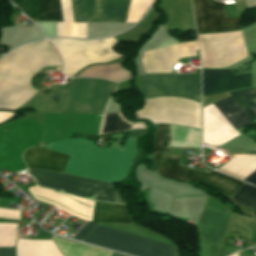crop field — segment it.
Masks as SVG:
<instances>
[{
	"mask_svg": "<svg viewBox=\"0 0 256 256\" xmlns=\"http://www.w3.org/2000/svg\"><path fill=\"white\" fill-rule=\"evenodd\" d=\"M62 56L64 70L67 76L72 77L78 70L90 63L107 62L120 58L122 55L112 51L117 43L115 39L101 40H50Z\"/></svg>",
	"mask_w": 256,
	"mask_h": 256,
	"instance_id": "412701ff",
	"label": "crop field"
},
{
	"mask_svg": "<svg viewBox=\"0 0 256 256\" xmlns=\"http://www.w3.org/2000/svg\"><path fill=\"white\" fill-rule=\"evenodd\" d=\"M84 242L135 256H174L171 245L97 225Z\"/></svg>",
	"mask_w": 256,
	"mask_h": 256,
	"instance_id": "dd49c442",
	"label": "crop field"
},
{
	"mask_svg": "<svg viewBox=\"0 0 256 256\" xmlns=\"http://www.w3.org/2000/svg\"><path fill=\"white\" fill-rule=\"evenodd\" d=\"M233 36L243 35L241 31L232 33Z\"/></svg>",
	"mask_w": 256,
	"mask_h": 256,
	"instance_id": "750c4746",
	"label": "crop field"
},
{
	"mask_svg": "<svg viewBox=\"0 0 256 256\" xmlns=\"http://www.w3.org/2000/svg\"><path fill=\"white\" fill-rule=\"evenodd\" d=\"M33 21H62L59 0H10Z\"/></svg>",
	"mask_w": 256,
	"mask_h": 256,
	"instance_id": "5142ce71",
	"label": "crop field"
},
{
	"mask_svg": "<svg viewBox=\"0 0 256 256\" xmlns=\"http://www.w3.org/2000/svg\"><path fill=\"white\" fill-rule=\"evenodd\" d=\"M40 64L60 65L46 41L20 47L0 60V109L14 110L38 92L30 83Z\"/></svg>",
	"mask_w": 256,
	"mask_h": 256,
	"instance_id": "ac0d7876",
	"label": "crop field"
},
{
	"mask_svg": "<svg viewBox=\"0 0 256 256\" xmlns=\"http://www.w3.org/2000/svg\"><path fill=\"white\" fill-rule=\"evenodd\" d=\"M130 0H72L75 22H125Z\"/></svg>",
	"mask_w": 256,
	"mask_h": 256,
	"instance_id": "3316defc",
	"label": "crop field"
},
{
	"mask_svg": "<svg viewBox=\"0 0 256 256\" xmlns=\"http://www.w3.org/2000/svg\"><path fill=\"white\" fill-rule=\"evenodd\" d=\"M230 213L204 206L196 226L203 240L222 246L225 239Z\"/></svg>",
	"mask_w": 256,
	"mask_h": 256,
	"instance_id": "22f410ed",
	"label": "crop field"
},
{
	"mask_svg": "<svg viewBox=\"0 0 256 256\" xmlns=\"http://www.w3.org/2000/svg\"><path fill=\"white\" fill-rule=\"evenodd\" d=\"M63 23H56L57 37L87 38V23H74L71 0H60Z\"/></svg>",
	"mask_w": 256,
	"mask_h": 256,
	"instance_id": "bc2a9ffb",
	"label": "crop field"
},
{
	"mask_svg": "<svg viewBox=\"0 0 256 256\" xmlns=\"http://www.w3.org/2000/svg\"><path fill=\"white\" fill-rule=\"evenodd\" d=\"M218 170L256 185V155L233 156Z\"/></svg>",
	"mask_w": 256,
	"mask_h": 256,
	"instance_id": "733c2abd",
	"label": "crop field"
},
{
	"mask_svg": "<svg viewBox=\"0 0 256 256\" xmlns=\"http://www.w3.org/2000/svg\"><path fill=\"white\" fill-rule=\"evenodd\" d=\"M249 242H256V231L254 232V234L250 238Z\"/></svg>",
	"mask_w": 256,
	"mask_h": 256,
	"instance_id": "d3111659",
	"label": "crop field"
},
{
	"mask_svg": "<svg viewBox=\"0 0 256 256\" xmlns=\"http://www.w3.org/2000/svg\"><path fill=\"white\" fill-rule=\"evenodd\" d=\"M68 157V155L39 148H29L23 154V160L28 169L36 168L61 173L64 170Z\"/></svg>",
	"mask_w": 256,
	"mask_h": 256,
	"instance_id": "d9b57169",
	"label": "crop field"
},
{
	"mask_svg": "<svg viewBox=\"0 0 256 256\" xmlns=\"http://www.w3.org/2000/svg\"><path fill=\"white\" fill-rule=\"evenodd\" d=\"M37 185L99 201L122 203L114 185L53 172L28 170Z\"/></svg>",
	"mask_w": 256,
	"mask_h": 256,
	"instance_id": "f4fd0767",
	"label": "crop field"
},
{
	"mask_svg": "<svg viewBox=\"0 0 256 256\" xmlns=\"http://www.w3.org/2000/svg\"><path fill=\"white\" fill-rule=\"evenodd\" d=\"M238 255V253L237 254H234V255H232V256H237Z\"/></svg>",
	"mask_w": 256,
	"mask_h": 256,
	"instance_id": "1d83c4d3",
	"label": "crop field"
},
{
	"mask_svg": "<svg viewBox=\"0 0 256 256\" xmlns=\"http://www.w3.org/2000/svg\"><path fill=\"white\" fill-rule=\"evenodd\" d=\"M228 94L229 97L211 106L235 131L256 119V92L248 88Z\"/></svg>",
	"mask_w": 256,
	"mask_h": 256,
	"instance_id": "d8731c3e",
	"label": "crop field"
},
{
	"mask_svg": "<svg viewBox=\"0 0 256 256\" xmlns=\"http://www.w3.org/2000/svg\"><path fill=\"white\" fill-rule=\"evenodd\" d=\"M90 220L106 223L134 224L124 205H113L95 201H92Z\"/></svg>",
	"mask_w": 256,
	"mask_h": 256,
	"instance_id": "4a817a6b",
	"label": "crop field"
},
{
	"mask_svg": "<svg viewBox=\"0 0 256 256\" xmlns=\"http://www.w3.org/2000/svg\"><path fill=\"white\" fill-rule=\"evenodd\" d=\"M230 199L254 209L256 206V187L244 183Z\"/></svg>",
	"mask_w": 256,
	"mask_h": 256,
	"instance_id": "00972430",
	"label": "crop field"
},
{
	"mask_svg": "<svg viewBox=\"0 0 256 256\" xmlns=\"http://www.w3.org/2000/svg\"><path fill=\"white\" fill-rule=\"evenodd\" d=\"M0 256H14V248H0Z\"/></svg>",
	"mask_w": 256,
	"mask_h": 256,
	"instance_id": "eef30255",
	"label": "crop field"
},
{
	"mask_svg": "<svg viewBox=\"0 0 256 256\" xmlns=\"http://www.w3.org/2000/svg\"><path fill=\"white\" fill-rule=\"evenodd\" d=\"M57 246L64 256H114V252L102 250L99 248L70 242L56 237ZM115 256H123L116 253Z\"/></svg>",
	"mask_w": 256,
	"mask_h": 256,
	"instance_id": "214f88e0",
	"label": "crop field"
},
{
	"mask_svg": "<svg viewBox=\"0 0 256 256\" xmlns=\"http://www.w3.org/2000/svg\"><path fill=\"white\" fill-rule=\"evenodd\" d=\"M251 215L256 216V210Z\"/></svg>",
	"mask_w": 256,
	"mask_h": 256,
	"instance_id": "bd1437ed",
	"label": "crop field"
},
{
	"mask_svg": "<svg viewBox=\"0 0 256 256\" xmlns=\"http://www.w3.org/2000/svg\"><path fill=\"white\" fill-rule=\"evenodd\" d=\"M116 84L100 79H72L61 87L56 113H102Z\"/></svg>",
	"mask_w": 256,
	"mask_h": 256,
	"instance_id": "34b2d1b8",
	"label": "crop field"
},
{
	"mask_svg": "<svg viewBox=\"0 0 256 256\" xmlns=\"http://www.w3.org/2000/svg\"><path fill=\"white\" fill-rule=\"evenodd\" d=\"M203 118L205 144L218 147L238 136L210 105L203 108Z\"/></svg>",
	"mask_w": 256,
	"mask_h": 256,
	"instance_id": "cbeb9de0",
	"label": "crop field"
},
{
	"mask_svg": "<svg viewBox=\"0 0 256 256\" xmlns=\"http://www.w3.org/2000/svg\"><path fill=\"white\" fill-rule=\"evenodd\" d=\"M203 96L251 86L250 73L235 76L231 70L202 69Z\"/></svg>",
	"mask_w": 256,
	"mask_h": 256,
	"instance_id": "d1516ede",
	"label": "crop field"
},
{
	"mask_svg": "<svg viewBox=\"0 0 256 256\" xmlns=\"http://www.w3.org/2000/svg\"><path fill=\"white\" fill-rule=\"evenodd\" d=\"M71 155L63 173L110 183L125 178L137 150L136 138H127L122 149H100L77 138L52 142L43 147Z\"/></svg>",
	"mask_w": 256,
	"mask_h": 256,
	"instance_id": "8a807250",
	"label": "crop field"
},
{
	"mask_svg": "<svg viewBox=\"0 0 256 256\" xmlns=\"http://www.w3.org/2000/svg\"><path fill=\"white\" fill-rule=\"evenodd\" d=\"M13 113L10 112H0V122L9 118Z\"/></svg>",
	"mask_w": 256,
	"mask_h": 256,
	"instance_id": "ae1a2a85",
	"label": "crop field"
},
{
	"mask_svg": "<svg viewBox=\"0 0 256 256\" xmlns=\"http://www.w3.org/2000/svg\"><path fill=\"white\" fill-rule=\"evenodd\" d=\"M159 131L155 136V151L160 152V124H157ZM166 139V147L162 148ZM170 148V125L161 124V152L168 153Z\"/></svg>",
	"mask_w": 256,
	"mask_h": 256,
	"instance_id": "4177f3b9",
	"label": "crop field"
},
{
	"mask_svg": "<svg viewBox=\"0 0 256 256\" xmlns=\"http://www.w3.org/2000/svg\"><path fill=\"white\" fill-rule=\"evenodd\" d=\"M131 76V73L121 67V64L90 67L77 77H97L110 81H120Z\"/></svg>",
	"mask_w": 256,
	"mask_h": 256,
	"instance_id": "92a150f3",
	"label": "crop field"
},
{
	"mask_svg": "<svg viewBox=\"0 0 256 256\" xmlns=\"http://www.w3.org/2000/svg\"><path fill=\"white\" fill-rule=\"evenodd\" d=\"M201 143L200 130L171 125V146L193 147Z\"/></svg>",
	"mask_w": 256,
	"mask_h": 256,
	"instance_id": "dafd665d",
	"label": "crop field"
},
{
	"mask_svg": "<svg viewBox=\"0 0 256 256\" xmlns=\"http://www.w3.org/2000/svg\"><path fill=\"white\" fill-rule=\"evenodd\" d=\"M96 222H87V224L73 237V239H77L82 241L85 236L94 228Z\"/></svg>",
	"mask_w": 256,
	"mask_h": 256,
	"instance_id": "730fd06b",
	"label": "crop field"
},
{
	"mask_svg": "<svg viewBox=\"0 0 256 256\" xmlns=\"http://www.w3.org/2000/svg\"><path fill=\"white\" fill-rule=\"evenodd\" d=\"M155 158L158 162V171L162 175L185 181H203L215 186L229 197L242 184L240 181L229 178L217 172L208 174L181 167L178 165L180 156L155 154Z\"/></svg>",
	"mask_w": 256,
	"mask_h": 256,
	"instance_id": "e52e79f7",
	"label": "crop field"
},
{
	"mask_svg": "<svg viewBox=\"0 0 256 256\" xmlns=\"http://www.w3.org/2000/svg\"><path fill=\"white\" fill-rule=\"evenodd\" d=\"M146 97L175 95L200 102V77L179 75H149L143 77Z\"/></svg>",
	"mask_w": 256,
	"mask_h": 256,
	"instance_id": "5a996713",
	"label": "crop field"
},
{
	"mask_svg": "<svg viewBox=\"0 0 256 256\" xmlns=\"http://www.w3.org/2000/svg\"><path fill=\"white\" fill-rule=\"evenodd\" d=\"M131 125L123 120L119 113L106 114L102 132L130 128Z\"/></svg>",
	"mask_w": 256,
	"mask_h": 256,
	"instance_id": "a9b5d70f",
	"label": "crop field"
},
{
	"mask_svg": "<svg viewBox=\"0 0 256 256\" xmlns=\"http://www.w3.org/2000/svg\"><path fill=\"white\" fill-rule=\"evenodd\" d=\"M198 31L239 29L241 19L225 18L223 9L208 0H193Z\"/></svg>",
	"mask_w": 256,
	"mask_h": 256,
	"instance_id": "28ad6ade",
	"label": "crop field"
}]
</instances>
